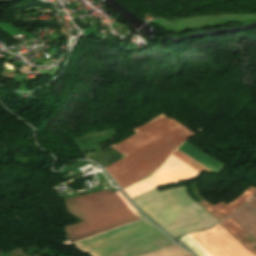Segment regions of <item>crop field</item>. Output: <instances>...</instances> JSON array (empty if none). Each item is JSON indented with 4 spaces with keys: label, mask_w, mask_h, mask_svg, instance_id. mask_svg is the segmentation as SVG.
Masks as SVG:
<instances>
[{
    "label": "crop field",
    "mask_w": 256,
    "mask_h": 256,
    "mask_svg": "<svg viewBox=\"0 0 256 256\" xmlns=\"http://www.w3.org/2000/svg\"><path fill=\"white\" fill-rule=\"evenodd\" d=\"M231 217L256 239V198Z\"/></svg>",
    "instance_id": "6"
},
{
    "label": "crop field",
    "mask_w": 256,
    "mask_h": 256,
    "mask_svg": "<svg viewBox=\"0 0 256 256\" xmlns=\"http://www.w3.org/2000/svg\"><path fill=\"white\" fill-rule=\"evenodd\" d=\"M132 131L137 134L112 146L126 157L105 167L121 188L157 170L173 150L195 135L163 114Z\"/></svg>",
    "instance_id": "1"
},
{
    "label": "crop field",
    "mask_w": 256,
    "mask_h": 256,
    "mask_svg": "<svg viewBox=\"0 0 256 256\" xmlns=\"http://www.w3.org/2000/svg\"><path fill=\"white\" fill-rule=\"evenodd\" d=\"M172 155L176 156L177 158L184 161L185 163H187L188 165L192 166L193 168H195L196 170H198L200 172L211 171V170L207 169L206 167H204L203 165L196 162L195 160H193L192 158H190L189 156L185 155L178 149L175 150Z\"/></svg>",
    "instance_id": "9"
},
{
    "label": "crop field",
    "mask_w": 256,
    "mask_h": 256,
    "mask_svg": "<svg viewBox=\"0 0 256 256\" xmlns=\"http://www.w3.org/2000/svg\"><path fill=\"white\" fill-rule=\"evenodd\" d=\"M211 256H255L246 251L219 224L213 229L190 234Z\"/></svg>",
    "instance_id": "4"
},
{
    "label": "crop field",
    "mask_w": 256,
    "mask_h": 256,
    "mask_svg": "<svg viewBox=\"0 0 256 256\" xmlns=\"http://www.w3.org/2000/svg\"><path fill=\"white\" fill-rule=\"evenodd\" d=\"M189 253L185 252L178 245L174 244L141 256H187ZM192 256V255H190Z\"/></svg>",
    "instance_id": "8"
},
{
    "label": "crop field",
    "mask_w": 256,
    "mask_h": 256,
    "mask_svg": "<svg viewBox=\"0 0 256 256\" xmlns=\"http://www.w3.org/2000/svg\"><path fill=\"white\" fill-rule=\"evenodd\" d=\"M226 230H228L240 243H242L249 251L256 254L247 244H254L256 240L251 237L239 224H237L231 217L220 223Z\"/></svg>",
    "instance_id": "7"
},
{
    "label": "crop field",
    "mask_w": 256,
    "mask_h": 256,
    "mask_svg": "<svg viewBox=\"0 0 256 256\" xmlns=\"http://www.w3.org/2000/svg\"><path fill=\"white\" fill-rule=\"evenodd\" d=\"M65 201L68 211L83 221L65 227L72 242L143 219L120 191L108 190Z\"/></svg>",
    "instance_id": "2"
},
{
    "label": "crop field",
    "mask_w": 256,
    "mask_h": 256,
    "mask_svg": "<svg viewBox=\"0 0 256 256\" xmlns=\"http://www.w3.org/2000/svg\"><path fill=\"white\" fill-rule=\"evenodd\" d=\"M181 242L184 243L198 256H210L198 243H196L189 235L182 237Z\"/></svg>",
    "instance_id": "10"
},
{
    "label": "crop field",
    "mask_w": 256,
    "mask_h": 256,
    "mask_svg": "<svg viewBox=\"0 0 256 256\" xmlns=\"http://www.w3.org/2000/svg\"><path fill=\"white\" fill-rule=\"evenodd\" d=\"M254 195H256V189L249 186L248 189L241 196H239L227 205L223 201L215 206L207 203L206 201L200 204L215 217H217L220 221H222L229 217L231 214H233L235 211L240 209L246 202L249 201L248 199Z\"/></svg>",
    "instance_id": "5"
},
{
    "label": "crop field",
    "mask_w": 256,
    "mask_h": 256,
    "mask_svg": "<svg viewBox=\"0 0 256 256\" xmlns=\"http://www.w3.org/2000/svg\"><path fill=\"white\" fill-rule=\"evenodd\" d=\"M199 173L200 172L171 155L151 178L124 191L132 199L159 186L192 179L198 176Z\"/></svg>",
    "instance_id": "3"
}]
</instances>
